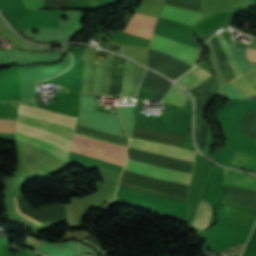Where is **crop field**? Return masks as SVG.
<instances>
[{"label":"crop field","instance_id":"8a807250","mask_svg":"<svg viewBox=\"0 0 256 256\" xmlns=\"http://www.w3.org/2000/svg\"><path fill=\"white\" fill-rule=\"evenodd\" d=\"M72 141L126 157V147L118 146L115 144L100 141L97 139H93V138L82 136L75 133L73 134ZM73 142H72V147L70 149L71 151H75L87 156L99 158V159H102L114 164L122 165V166L126 161L125 157L114 155L108 152H104L101 150H97V149L90 148V147L73 143ZM98 169L104 178V186H103L102 193L98 199V202L112 200L114 199L116 187L121 174L110 171V170H106L103 168H98Z\"/></svg>","mask_w":256,"mask_h":256},{"label":"crop field","instance_id":"ac0d7876","mask_svg":"<svg viewBox=\"0 0 256 256\" xmlns=\"http://www.w3.org/2000/svg\"><path fill=\"white\" fill-rule=\"evenodd\" d=\"M130 148L153 152V153H157L159 155H163L171 158L194 162V155H195L194 151H190V150H186V149H182V148H178L170 145L133 138ZM125 169L150 175V176H154V177H159V178L187 184V185H189V179L191 176V174L181 173V172L169 170L162 167H156V166H152L149 164H145L142 162L133 161L129 159L127 160Z\"/></svg>","mask_w":256,"mask_h":256},{"label":"crop field","instance_id":"34b2d1b8","mask_svg":"<svg viewBox=\"0 0 256 256\" xmlns=\"http://www.w3.org/2000/svg\"><path fill=\"white\" fill-rule=\"evenodd\" d=\"M161 17L168 18L180 23L194 26L195 22L201 18L200 12L189 11L176 7L164 5ZM151 49L170 55L178 60H181L191 66L199 58V50L186 46L180 42H175L163 38L161 36L153 35Z\"/></svg>","mask_w":256,"mask_h":256},{"label":"crop field","instance_id":"412701ff","mask_svg":"<svg viewBox=\"0 0 256 256\" xmlns=\"http://www.w3.org/2000/svg\"><path fill=\"white\" fill-rule=\"evenodd\" d=\"M224 184L256 190V177L224 169ZM223 205L225 225L251 229L256 218V209L225 202Z\"/></svg>","mask_w":256,"mask_h":256},{"label":"crop field","instance_id":"f4fd0767","mask_svg":"<svg viewBox=\"0 0 256 256\" xmlns=\"http://www.w3.org/2000/svg\"><path fill=\"white\" fill-rule=\"evenodd\" d=\"M17 121L57 133L65 138H67L68 140L71 139V135H72V131H73L72 128H68V127H65L62 125H58L55 123L47 122L44 120H40V119H36V118H32V117H28V116H24V115H20V114H18ZM16 138L19 140H22L24 142H27L29 144L41 147V148L51 152L52 154L58 156L61 160L66 162L67 153L54 145H51V144H49L43 140L37 139L35 137L21 134L19 132H16Z\"/></svg>","mask_w":256,"mask_h":256},{"label":"crop field","instance_id":"dd49c442","mask_svg":"<svg viewBox=\"0 0 256 256\" xmlns=\"http://www.w3.org/2000/svg\"><path fill=\"white\" fill-rule=\"evenodd\" d=\"M61 11L30 10L26 26L57 27Z\"/></svg>","mask_w":256,"mask_h":256},{"label":"crop field","instance_id":"e52e79f7","mask_svg":"<svg viewBox=\"0 0 256 256\" xmlns=\"http://www.w3.org/2000/svg\"><path fill=\"white\" fill-rule=\"evenodd\" d=\"M211 76L212 75L209 72L197 66L189 73L181 77L179 80H177L176 83L189 90Z\"/></svg>","mask_w":256,"mask_h":256},{"label":"crop field","instance_id":"d8731c3e","mask_svg":"<svg viewBox=\"0 0 256 256\" xmlns=\"http://www.w3.org/2000/svg\"><path fill=\"white\" fill-rule=\"evenodd\" d=\"M218 43H219V46L223 52V55L226 59V62L230 68V71L233 75V77L235 78L236 76L240 75V71H239V67H238V64L236 62V59L234 57V54L232 52V50L230 49V46L227 42V40L225 39V36H224V33H219L217 35H215Z\"/></svg>","mask_w":256,"mask_h":256},{"label":"crop field","instance_id":"5a996713","mask_svg":"<svg viewBox=\"0 0 256 256\" xmlns=\"http://www.w3.org/2000/svg\"><path fill=\"white\" fill-rule=\"evenodd\" d=\"M210 215H211L210 205L203 201H200L192 226L200 230L204 229L209 224Z\"/></svg>","mask_w":256,"mask_h":256},{"label":"crop field","instance_id":"3316defc","mask_svg":"<svg viewBox=\"0 0 256 256\" xmlns=\"http://www.w3.org/2000/svg\"><path fill=\"white\" fill-rule=\"evenodd\" d=\"M246 98L256 96V87L245 74L230 81Z\"/></svg>","mask_w":256,"mask_h":256},{"label":"crop field","instance_id":"28ad6ade","mask_svg":"<svg viewBox=\"0 0 256 256\" xmlns=\"http://www.w3.org/2000/svg\"><path fill=\"white\" fill-rule=\"evenodd\" d=\"M187 98L188 96L184 93V91L179 89L176 85L173 84V86L165 96L163 102L183 106Z\"/></svg>","mask_w":256,"mask_h":256},{"label":"crop field","instance_id":"d1516ede","mask_svg":"<svg viewBox=\"0 0 256 256\" xmlns=\"http://www.w3.org/2000/svg\"><path fill=\"white\" fill-rule=\"evenodd\" d=\"M232 164L256 170V157L250 154L237 151L232 161Z\"/></svg>","mask_w":256,"mask_h":256},{"label":"crop field","instance_id":"22f410ed","mask_svg":"<svg viewBox=\"0 0 256 256\" xmlns=\"http://www.w3.org/2000/svg\"><path fill=\"white\" fill-rule=\"evenodd\" d=\"M20 2L24 8L44 9L42 7L43 0H20Z\"/></svg>","mask_w":256,"mask_h":256},{"label":"crop field","instance_id":"cbeb9de0","mask_svg":"<svg viewBox=\"0 0 256 256\" xmlns=\"http://www.w3.org/2000/svg\"><path fill=\"white\" fill-rule=\"evenodd\" d=\"M15 121L0 120V131L14 133Z\"/></svg>","mask_w":256,"mask_h":256},{"label":"crop field","instance_id":"5142ce71","mask_svg":"<svg viewBox=\"0 0 256 256\" xmlns=\"http://www.w3.org/2000/svg\"><path fill=\"white\" fill-rule=\"evenodd\" d=\"M242 248H243V245H239V246L233 247V248L225 250V251L214 253L213 255L220 254V253L232 254V253L240 252L242 250Z\"/></svg>","mask_w":256,"mask_h":256},{"label":"crop field","instance_id":"d9b57169","mask_svg":"<svg viewBox=\"0 0 256 256\" xmlns=\"http://www.w3.org/2000/svg\"><path fill=\"white\" fill-rule=\"evenodd\" d=\"M245 74L256 85V68Z\"/></svg>","mask_w":256,"mask_h":256},{"label":"crop field","instance_id":"733c2abd","mask_svg":"<svg viewBox=\"0 0 256 256\" xmlns=\"http://www.w3.org/2000/svg\"><path fill=\"white\" fill-rule=\"evenodd\" d=\"M247 56L249 59L256 60V50L248 48Z\"/></svg>","mask_w":256,"mask_h":256},{"label":"crop field","instance_id":"4a817a6b","mask_svg":"<svg viewBox=\"0 0 256 256\" xmlns=\"http://www.w3.org/2000/svg\"><path fill=\"white\" fill-rule=\"evenodd\" d=\"M235 46H236V44L235 43H233ZM237 47V46H236Z\"/></svg>","mask_w":256,"mask_h":256},{"label":"crop field","instance_id":"bc2a9ffb","mask_svg":"<svg viewBox=\"0 0 256 256\" xmlns=\"http://www.w3.org/2000/svg\"><path fill=\"white\" fill-rule=\"evenodd\" d=\"M121 94H119V96H120Z\"/></svg>","mask_w":256,"mask_h":256}]
</instances>
